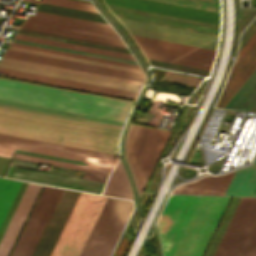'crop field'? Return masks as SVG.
Segmentation results:
<instances>
[{
    "mask_svg": "<svg viewBox=\"0 0 256 256\" xmlns=\"http://www.w3.org/2000/svg\"><path fill=\"white\" fill-rule=\"evenodd\" d=\"M169 133V130L134 124L131 125L125 142V156L133 175L138 194Z\"/></svg>",
    "mask_w": 256,
    "mask_h": 256,
    "instance_id": "crop-field-4",
    "label": "crop field"
},
{
    "mask_svg": "<svg viewBox=\"0 0 256 256\" xmlns=\"http://www.w3.org/2000/svg\"><path fill=\"white\" fill-rule=\"evenodd\" d=\"M121 130L0 108V133L118 155Z\"/></svg>",
    "mask_w": 256,
    "mask_h": 256,
    "instance_id": "crop-field-2",
    "label": "crop field"
},
{
    "mask_svg": "<svg viewBox=\"0 0 256 256\" xmlns=\"http://www.w3.org/2000/svg\"><path fill=\"white\" fill-rule=\"evenodd\" d=\"M119 18V17H118ZM133 35L216 50L218 37L119 18Z\"/></svg>",
    "mask_w": 256,
    "mask_h": 256,
    "instance_id": "crop-field-11",
    "label": "crop field"
},
{
    "mask_svg": "<svg viewBox=\"0 0 256 256\" xmlns=\"http://www.w3.org/2000/svg\"><path fill=\"white\" fill-rule=\"evenodd\" d=\"M107 198L81 193L50 256H78Z\"/></svg>",
    "mask_w": 256,
    "mask_h": 256,
    "instance_id": "crop-field-6",
    "label": "crop field"
},
{
    "mask_svg": "<svg viewBox=\"0 0 256 256\" xmlns=\"http://www.w3.org/2000/svg\"><path fill=\"white\" fill-rule=\"evenodd\" d=\"M256 189V160L254 164L236 171L225 195H253Z\"/></svg>",
    "mask_w": 256,
    "mask_h": 256,
    "instance_id": "crop-field-22",
    "label": "crop field"
},
{
    "mask_svg": "<svg viewBox=\"0 0 256 256\" xmlns=\"http://www.w3.org/2000/svg\"><path fill=\"white\" fill-rule=\"evenodd\" d=\"M14 38L134 60L132 55H129V54H123V53L101 50V49H96V48H90V47H85V46L73 45V44L62 43V42L51 41V40H46V39H40V38L29 37V36H24V35H18V34H16Z\"/></svg>",
    "mask_w": 256,
    "mask_h": 256,
    "instance_id": "crop-field-25",
    "label": "crop field"
},
{
    "mask_svg": "<svg viewBox=\"0 0 256 256\" xmlns=\"http://www.w3.org/2000/svg\"><path fill=\"white\" fill-rule=\"evenodd\" d=\"M8 49L16 50V51H22V52H27V53H33V54H39V55H44V56L56 57V58H61V59L73 60V61H78V62L90 63V64H95V65L107 66V67H112V68L124 69V70H129V71L141 72L142 73L141 69H138V68H132V67H127V66L110 64V63H105V62H100V61H94V60L83 59V58H78V57H72V56H67V55H61V54H56V53H50V52H45V51H40V50H34V49H29V48L18 47V46L10 45Z\"/></svg>",
    "mask_w": 256,
    "mask_h": 256,
    "instance_id": "crop-field-24",
    "label": "crop field"
},
{
    "mask_svg": "<svg viewBox=\"0 0 256 256\" xmlns=\"http://www.w3.org/2000/svg\"><path fill=\"white\" fill-rule=\"evenodd\" d=\"M0 79L126 102L119 118L115 119L118 117V115L124 105L123 102H117V101H112V100H106V99H101V98H95V97H90V96H84V95H79V94H73V93H68V92H62V91H57V90H52V89H46V88H41V87H35V86L0 80V97H2V98H8V99H13V100L41 104V105H47V106L70 109V110H75V111L87 112V113L98 114V115H103V116L115 117V118H109V117H103V116H98V115H92V114H86V113L75 112V111H70V110H64V109H58V108H53V107L25 103V104L36 105V106H41V107H46V108H52V109H57V110L73 112V113H79V114H84V115L100 117V118H106V119H111V120H116V121L124 122L133 103H134L132 101H126V100L104 97V96H99V95L87 94V93L65 90V89H60V88H54V87H49V86H43V85L27 83V82H22V81H17V80H11V79L1 78V77H0ZM2 98H0V99H2ZM8 99H3V100H8ZM13 100H9V101H13ZM19 101H14V102H19ZM20 103H24V102H20Z\"/></svg>",
    "mask_w": 256,
    "mask_h": 256,
    "instance_id": "crop-field-3",
    "label": "crop field"
},
{
    "mask_svg": "<svg viewBox=\"0 0 256 256\" xmlns=\"http://www.w3.org/2000/svg\"><path fill=\"white\" fill-rule=\"evenodd\" d=\"M256 244V197H242L214 256H250Z\"/></svg>",
    "mask_w": 256,
    "mask_h": 256,
    "instance_id": "crop-field-8",
    "label": "crop field"
},
{
    "mask_svg": "<svg viewBox=\"0 0 256 256\" xmlns=\"http://www.w3.org/2000/svg\"><path fill=\"white\" fill-rule=\"evenodd\" d=\"M2 59L3 60L14 61V62H19V63H25V64H30V65L46 67V68L57 69V70H62V71H68V72H73V73H79V74H84V75H89V76L106 78V79H111V80H116V81H122V82H127V83H132V84H138V85L142 84L141 82H135V81L125 80V79H119V78L108 77V76H103V75H97V74L81 72V71H76V70H70V69H65V68H59V67H54V66H49V65H43V64L32 63V62H27V61H21V60H16V59H11V58L2 57Z\"/></svg>",
    "mask_w": 256,
    "mask_h": 256,
    "instance_id": "crop-field-30",
    "label": "crop field"
},
{
    "mask_svg": "<svg viewBox=\"0 0 256 256\" xmlns=\"http://www.w3.org/2000/svg\"><path fill=\"white\" fill-rule=\"evenodd\" d=\"M13 151L14 150H12V149H7V148H1L0 147V156L11 158L12 154H13Z\"/></svg>",
    "mask_w": 256,
    "mask_h": 256,
    "instance_id": "crop-field-33",
    "label": "crop field"
},
{
    "mask_svg": "<svg viewBox=\"0 0 256 256\" xmlns=\"http://www.w3.org/2000/svg\"><path fill=\"white\" fill-rule=\"evenodd\" d=\"M251 256H256V247H255V249H254V251H253Z\"/></svg>",
    "mask_w": 256,
    "mask_h": 256,
    "instance_id": "crop-field-35",
    "label": "crop field"
},
{
    "mask_svg": "<svg viewBox=\"0 0 256 256\" xmlns=\"http://www.w3.org/2000/svg\"><path fill=\"white\" fill-rule=\"evenodd\" d=\"M28 183L0 178V239Z\"/></svg>",
    "mask_w": 256,
    "mask_h": 256,
    "instance_id": "crop-field-21",
    "label": "crop field"
},
{
    "mask_svg": "<svg viewBox=\"0 0 256 256\" xmlns=\"http://www.w3.org/2000/svg\"><path fill=\"white\" fill-rule=\"evenodd\" d=\"M103 194L133 200L130 184L120 160L117 166L114 168Z\"/></svg>",
    "mask_w": 256,
    "mask_h": 256,
    "instance_id": "crop-field-23",
    "label": "crop field"
},
{
    "mask_svg": "<svg viewBox=\"0 0 256 256\" xmlns=\"http://www.w3.org/2000/svg\"><path fill=\"white\" fill-rule=\"evenodd\" d=\"M0 146L83 161L86 155L117 160L118 156L0 134ZM85 161V160H84Z\"/></svg>",
    "mask_w": 256,
    "mask_h": 256,
    "instance_id": "crop-field-13",
    "label": "crop field"
},
{
    "mask_svg": "<svg viewBox=\"0 0 256 256\" xmlns=\"http://www.w3.org/2000/svg\"><path fill=\"white\" fill-rule=\"evenodd\" d=\"M25 44H27V43H25ZM36 46H38V45H36ZM42 47H44V46H42ZM47 48H49V47H47ZM53 49H55V48H53ZM58 50H61V49H58ZM64 51H66V50H64ZM69 52H72V51H69ZM75 53H78V52H75ZM81 54H84V53H81ZM86 55H89V54H86ZM92 56H95V55H92ZM97 57H101V56H97ZM103 58H106V57H103ZM108 59H112V58H108ZM114 60H118V59H114ZM119 61H123V60H119ZM125 62H129V61H125ZM130 63H134V62H130ZM136 64H138V63H136Z\"/></svg>",
    "mask_w": 256,
    "mask_h": 256,
    "instance_id": "crop-field-34",
    "label": "crop field"
},
{
    "mask_svg": "<svg viewBox=\"0 0 256 256\" xmlns=\"http://www.w3.org/2000/svg\"><path fill=\"white\" fill-rule=\"evenodd\" d=\"M4 56L141 82H144L145 79L144 74L141 73L129 72L124 70L112 69L107 67L95 66L90 64L78 63L73 61L61 60L56 58L44 57L10 50H7Z\"/></svg>",
    "mask_w": 256,
    "mask_h": 256,
    "instance_id": "crop-field-18",
    "label": "crop field"
},
{
    "mask_svg": "<svg viewBox=\"0 0 256 256\" xmlns=\"http://www.w3.org/2000/svg\"><path fill=\"white\" fill-rule=\"evenodd\" d=\"M108 4L219 25V14L149 0H105Z\"/></svg>",
    "mask_w": 256,
    "mask_h": 256,
    "instance_id": "crop-field-16",
    "label": "crop field"
},
{
    "mask_svg": "<svg viewBox=\"0 0 256 256\" xmlns=\"http://www.w3.org/2000/svg\"><path fill=\"white\" fill-rule=\"evenodd\" d=\"M63 190L45 186L11 256H30Z\"/></svg>",
    "mask_w": 256,
    "mask_h": 256,
    "instance_id": "crop-field-10",
    "label": "crop field"
},
{
    "mask_svg": "<svg viewBox=\"0 0 256 256\" xmlns=\"http://www.w3.org/2000/svg\"><path fill=\"white\" fill-rule=\"evenodd\" d=\"M0 67H6V68H11V69H16V70L44 74V75H49V76H54V77L82 81V82H87V83H92V84H98V85L120 88V89H125V90H130V91H136V92L139 91V87H140L138 85H132V84H127V83H122V82L105 80V79H100V78H95V77H89V76H84V75H79V74L62 72V71L46 69V68H41V67H35V66H30V65H25V64L3 61V60L0 61Z\"/></svg>",
    "mask_w": 256,
    "mask_h": 256,
    "instance_id": "crop-field-20",
    "label": "crop field"
},
{
    "mask_svg": "<svg viewBox=\"0 0 256 256\" xmlns=\"http://www.w3.org/2000/svg\"><path fill=\"white\" fill-rule=\"evenodd\" d=\"M23 1H29V2H35V3L41 2V3H47V4L58 5V6L69 7V8H74V9L85 10V11L97 13L93 4L79 2V1H73V0H42V1L23 0Z\"/></svg>",
    "mask_w": 256,
    "mask_h": 256,
    "instance_id": "crop-field-29",
    "label": "crop field"
},
{
    "mask_svg": "<svg viewBox=\"0 0 256 256\" xmlns=\"http://www.w3.org/2000/svg\"><path fill=\"white\" fill-rule=\"evenodd\" d=\"M21 27L125 47L106 23L37 11Z\"/></svg>",
    "mask_w": 256,
    "mask_h": 256,
    "instance_id": "crop-field-5",
    "label": "crop field"
},
{
    "mask_svg": "<svg viewBox=\"0 0 256 256\" xmlns=\"http://www.w3.org/2000/svg\"><path fill=\"white\" fill-rule=\"evenodd\" d=\"M6 177L100 194L105 183L11 166Z\"/></svg>",
    "mask_w": 256,
    "mask_h": 256,
    "instance_id": "crop-field-15",
    "label": "crop field"
},
{
    "mask_svg": "<svg viewBox=\"0 0 256 256\" xmlns=\"http://www.w3.org/2000/svg\"><path fill=\"white\" fill-rule=\"evenodd\" d=\"M219 13V0H154Z\"/></svg>",
    "mask_w": 256,
    "mask_h": 256,
    "instance_id": "crop-field-27",
    "label": "crop field"
},
{
    "mask_svg": "<svg viewBox=\"0 0 256 256\" xmlns=\"http://www.w3.org/2000/svg\"><path fill=\"white\" fill-rule=\"evenodd\" d=\"M132 209L130 202L108 198L79 256H109Z\"/></svg>",
    "mask_w": 256,
    "mask_h": 256,
    "instance_id": "crop-field-7",
    "label": "crop field"
},
{
    "mask_svg": "<svg viewBox=\"0 0 256 256\" xmlns=\"http://www.w3.org/2000/svg\"><path fill=\"white\" fill-rule=\"evenodd\" d=\"M229 198L171 195L158 221L164 256H201Z\"/></svg>",
    "mask_w": 256,
    "mask_h": 256,
    "instance_id": "crop-field-1",
    "label": "crop field"
},
{
    "mask_svg": "<svg viewBox=\"0 0 256 256\" xmlns=\"http://www.w3.org/2000/svg\"><path fill=\"white\" fill-rule=\"evenodd\" d=\"M255 69L256 31L239 50L238 60L230 72L227 83L216 107L224 108Z\"/></svg>",
    "mask_w": 256,
    "mask_h": 256,
    "instance_id": "crop-field-14",
    "label": "crop field"
},
{
    "mask_svg": "<svg viewBox=\"0 0 256 256\" xmlns=\"http://www.w3.org/2000/svg\"><path fill=\"white\" fill-rule=\"evenodd\" d=\"M133 36V35H132ZM146 58L210 70L214 50L133 36Z\"/></svg>",
    "mask_w": 256,
    "mask_h": 256,
    "instance_id": "crop-field-9",
    "label": "crop field"
},
{
    "mask_svg": "<svg viewBox=\"0 0 256 256\" xmlns=\"http://www.w3.org/2000/svg\"><path fill=\"white\" fill-rule=\"evenodd\" d=\"M11 44L12 45H18V46H23V47H29V48H34V49H40V50H45V51H50V52H56V53H61V54H67V55H72V56H78V57H83V58H89V59H94V60H100V61H105V62L116 63V64H121V65H127V66H132V67L140 68L139 65H136V64H130V63H125V62H119V61L108 60V59H103V58H97V57H92V56H86V55H81V54L69 53V52L58 51V50L47 49V48H42V47H36V46L25 45V44H20V43H14V42H11Z\"/></svg>",
    "mask_w": 256,
    "mask_h": 256,
    "instance_id": "crop-field-31",
    "label": "crop field"
},
{
    "mask_svg": "<svg viewBox=\"0 0 256 256\" xmlns=\"http://www.w3.org/2000/svg\"><path fill=\"white\" fill-rule=\"evenodd\" d=\"M108 176L86 172L83 178L105 182Z\"/></svg>",
    "mask_w": 256,
    "mask_h": 256,
    "instance_id": "crop-field-32",
    "label": "crop field"
},
{
    "mask_svg": "<svg viewBox=\"0 0 256 256\" xmlns=\"http://www.w3.org/2000/svg\"><path fill=\"white\" fill-rule=\"evenodd\" d=\"M42 186L29 183L0 241V256H8Z\"/></svg>",
    "mask_w": 256,
    "mask_h": 256,
    "instance_id": "crop-field-19",
    "label": "crop field"
},
{
    "mask_svg": "<svg viewBox=\"0 0 256 256\" xmlns=\"http://www.w3.org/2000/svg\"><path fill=\"white\" fill-rule=\"evenodd\" d=\"M0 72L9 73L8 77L10 78H16V79L27 80V81L38 82V83L49 84V85L60 86V87L71 88V89H77V90L110 95L115 97H121L126 99L134 100L137 95L136 92H130V91H125L120 89H114V88L92 85V84L65 80L60 78H54V77H49L44 75L16 71V70H11L6 68H0Z\"/></svg>",
    "mask_w": 256,
    "mask_h": 256,
    "instance_id": "crop-field-17",
    "label": "crop field"
},
{
    "mask_svg": "<svg viewBox=\"0 0 256 256\" xmlns=\"http://www.w3.org/2000/svg\"><path fill=\"white\" fill-rule=\"evenodd\" d=\"M14 158L38 162V163L50 164V165H55V166H61V167H66V168H72V169H77V170H83V171H88V172L106 174V175H108V173L110 172L109 170H103V169L87 167V166H82V165H77V164H71V163H66V162H61V161H55V160H50V159H45V158H39V157H34V156H29V155H23V154H18V153L15 154Z\"/></svg>",
    "mask_w": 256,
    "mask_h": 256,
    "instance_id": "crop-field-26",
    "label": "crop field"
},
{
    "mask_svg": "<svg viewBox=\"0 0 256 256\" xmlns=\"http://www.w3.org/2000/svg\"><path fill=\"white\" fill-rule=\"evenodd\" d=\"M80 193L64 190L32 255L49 256Z\"/></svg>",
    "mask_w": 256,
    "mask_h": 256,
    "instance_id": "crop-field-12",
    "label": "crop field"
},
{
    "mask_svg": "<svg viewBox=\"0 0 256 256\" xmlns=\"http://www.w3.org/2000/svg\"><path fill=\"white\" fill-rule=\"evenodd\" d=\"M0 103L12 105V106L23 107V108L34 109V110H39V111H45V112H50V113H56V114H61V115H67V116H72V117H77V118H83V119H88V120H94V121H99V122H105V123H110V124H115V125L123 126V124H124L122 122H116V121H111V120H106V119H100V118H95V117H89V116H84V115H79V114L63 112V111H57V110L46 109V108H41V107H36V106L19 104V103H14V102H9V101L0 100Z\"/></svg>",
    "mask_w": 256,
    "mask_h": 256,
    "instance_id": "crop-field-28",
    "label": "crop field"
}]
</instances>
